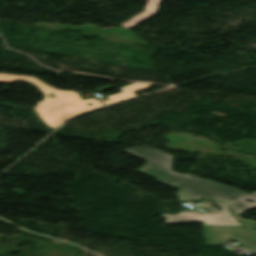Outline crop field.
Masks as SVG:
<instances>
[{
	"label": "crop field",
	"mask_w": 256,
	"mask_h": 256,
	"mask_svg": "<svg viewBox=\"0 0 256 256\" xmlns=\"http://www.w3.org/2000/svg\"><path fill=\"white\" fill-rule=\"evenodd\" d=\"M125 151L149 162L138 171L164 184L181 189L177 195L179 200H195L200 197L218 199L232 205L237 215L256 206V203L247 202L248 199L256 202V192L248 195L212 180L172 171L173 156L169 154L138 147Z\"/></svg>",
	"instance_id": "8a807250"
},
{
	"label": "crop field",
	"mask_w": 256,
	"mask_h": 256,
	"mask_svg": "<svg viewBox=\"0 0 256 256\" xmlns=\"http://www.w3.org/2000/svg\"><path fill=\"white\" fill-rule=\"evenodd\" d=\"M15 80L28 81L45 95L43 101L37 104L35 110L43 122L51 128L61 125L66 119L78 113L103 106L95 99L83 101L77 92L54 89L34 77L0 73V82H13ZM49 93H54L56 98H50L48 96ZM89 102L92 103L91 106L87 104Z\"/></svg>",
	"instance_id": "ac0d7876"
},
{
	"label": "crop field",
	"mask_w": 256,
	"mask_h": 256,
	"mask_svg": "<svg viewBox=\"0 0 256 256\" xmlns=\"http://www.w3.org/2000/svg\"><path fill=\"white\" fill-rule=\"evenodd\" d=\"M205 246H216L228 240L256 253V234L245 227L203 226Z\"/></svg>",
	"instance_id": "34b2d1b8"
},
{
	"label": "crop field",
	"mask_w": 256,
	"mask_h": 256,
	"mask_svg": "<svg viewBox=\"0 0 256 256\" xmlns=\"http://www.w3.org/2000/svg\"><path fill=\"white\" fill-rule=\"evenodd\" d=\"M223 210L214 214H200L198 211L180 212L176 215L161 214V218H166L167 225L203 222V225H224L243 226L233 217L227 206L217 204Z\"/></svg>",
	"instance_id": "412701ff"
},
{
	"label": "crop field",
	"mask_w": 256,
	"mask_h": 256,
	"mask_svg": "<svg viewBox=\"0 0 256 256\" xmlns=\"http://www.w3.org/2000/svg\"><path fill=\"white\" fill-rule=\"evenodd\" d=\"M160 2H161V0H148L146 7H145V9H146L145 12L129 19L128 21L123 23L122 26L124 28H129V27L134 26V25L144 21L145 19L155 15Z\"/></svg>",
	"instance_id": "f4fd0767"
},
{
	"label": "crop field",
	"mask_w": 256,
	"mask_h": 256,
	"mask_svg": "<svg viewBox=\"0 0 256 256\" xmlns=\"http://www.w3.org/2000/svg\"><path fill=\"white\" fill-rule=\"evenodd\" d=\"M148 87H150V85L132 84L130 86L120 88V90L122 92L112 95V96H108L109 100L103 101V103L105 105H108V104H111V103H114V102H117L120 100L136 97V95H134L133 93L138 92L143 89H146Z\"/></svg>",
	"instance_id": "dd49c442"
},
{
	"label": "crop field",
	"mask_w": 256,
	"mask_h": 256,
	"mask_svg": "<svg viewBox=\"0 0 256 256\" xmlns=\"http://www.w3.org/2000/svg\"><path fill=\"white\" fill-rule=\"evenodd\" d=\"M247 228L256 232V227H247Z\"/></svg>",
	"instance_id": "e52e79f7"
}]
</instances>
